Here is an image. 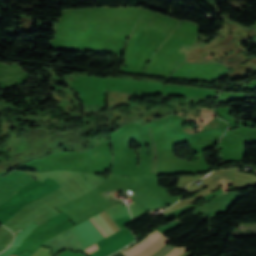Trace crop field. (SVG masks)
<instances>
[{"label": "crop field", "mask_w": 256, "mask_h": 256, "mask_svg": "<svg viewBox=\"0 0 256 256\" xmlns=\"http://www.w3.org/2000/svg\"><path fill=\"white\" fill-rule=\"evenodd\" d=\"M160 235L157 231H153L150 235H148L145 239L141 240L139 243H137L135 246L132 248L121 251L123 254L126 256H133L140 251L144 250L147 246H149L155 239H157Z\"/></svg>", "instance_id": "ac0d7876"}, {"label": "crop field", "mask_w": 256, "mask_h": 256, "mask_svg": "<svg viewBox=\"0 0 256 256\" xmlns=\"http://www.w3.org/2000/svg\"><path fill=\"white\" fill-rule=\"evenodd\" d=\"M159 239V238H158ZM171 239L162 235V237L153 243L150 247H148L143 252L135 255V256H150L161 249L164 245H166Z\"/></svg>", "instance_id": "34b2d1b8"}, {"label": "crop field", "mask_w": 256, "mask_h": 256, "mask_svg": "<svg viewBox=\"0 0 256 256\" xmlns=\"http://www.w3.org/2000/svg\"><path fill=\"white\" fill-rule=\"evenodd\" d=\"M96 250H98L96 243L84 249V251L87 252L88 254H90Z\"/></svg>", "instance_id": "dd49c442"}, {"label": "crop field", "mask_w": 256, "mask_h": 256, "mask_svg": "<svg viewBox=\"0 0 256 256\" xmlns=\"http://www.w3.org/2000/svg\"><path fill=\"white\" fill-rule=\"evenodd\" d=\"M135 240L132 233L110 243L109 245L105 246L104 248L100 249L99 251L89 255V256H107L115 251L120 250L121 248L125 247L129 243Z\"/></svg>", "instance_id": "8a807250"}, {"label": "crop field", "mask_w": 256, "mask_h": 256, "mask_svg": "<svg viewBox=\"0 0 256 256\" xmlns=\"http://www.w3.org/2000/svg\"><path fill=\"white\" fill-rule=\"evenodd\" d=\"M188 247H183V248H175L172 251H170L166 256H178L182 252H184Z\"/></svg>", "instance_id": "f4fd0767"}, {"label": "crop field", "mask_w": 256, "mask_h": 256, "mask_svg": "<svg viewBox=\"0 0 256 256\" xmlns=\"http://www.w3.org/2000/svg\"><path fill=\"white\" fill-rule=\"evenodd\" d=\"M90 219V218H89ZM91 220V219H90ZM92 220L96 223V225L103 231V233L106 235V236H108V235H110V234H112V233H115L114 231H113V229L110 227V225L107 223V221L100 215V214H98V215H96V216H94V217H92ZM91 220V221H92ZM92 221V222H93ZM94 222H93V224H94ZM95 225V224H94ZM95 225V226H96ZM96 226V227H97ZM97 227V228H98ZM98 228V229H99ZM99 229V230H100ZM100 230V231H101ZM102 233V232H101ZM102 233V234H103ZM103 234V235H104ZM104 235V236H105ZM105 236V237H106Z\"/></svg>", "instance_id": "412701ff"}, {"label": "crop field", "mask_w": 256, "mask_h": 256, "mask_svg": "<svg viewBox=\"0 0 256 256\" xmlns=\"http://www.w3.org/2000/svg\"><path fill=\"white\" fill-rule=\"evenodd\" d=\"M11 256V255H10Z\"/></svg>", "instance_id": "e52e79f7"}]
</instances>
